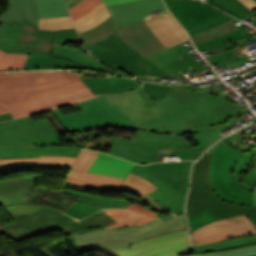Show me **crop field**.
Returning <instances> with one entry per match:
<instances>
[{
	"mask_svg": "<svg viewBox=\"0 0 256 256\" xmlns=\"http://www.w3.org/2000/svg\"><path fill=\"white\" fill-rule=\"evenodd\" d=\"M140 201H143V202L149 204L151 208H153L157 211L170 212L167 209H165L163 206H161L159 203H157L155 200H153L151 197H149L148 195L146 197H144L143 199H140ZM170 213H172V212H170ZM172 214H174V213H172Z\"/></svg>",
	"mask_w": 256,
	"mask_h": 256,
	"instance_id": "51",
	"label": "crop field"
},
{
	"mask_svg": "<svg viewBox=\"0 0 256 256\" xmlns=\"http://www.w3.org/2000/svg\"><path fill=\"white\" fill-rule=\"evenodd\" d=\"M134 165L115 156L99 153L87 172L125 178Z\"/></svg>",
	"mask_w": 256,
	"mask_h": 256,
	"instance_id": "26",
	"label": "crop field"
},
{
	"mask_svg": "<svg viewBox=\"0 0 256 256\" xmlns=\"http://www.w3.org/2000/svg\"><path fill=\"white\" fill-rule=\"evenodd\" d=\"M78 104L82 112L67 115H62L59 109L53 112L66 132H80L107 126L140 130L114 105L109 106L102 96Z\"/></svg>",
	"mask_w": 256,
	"mask_h": 256,
	"instance_id": "7",
	"label": "crop field"
},
{
	"mask_svg": "<svg viewBox=\"0 0 256 256\" xmlns=\"http://www.w3.org/2000/svg\"><path fill=\"white\" fill-rule=\"evenodd\" d=\"M252 25L256 26V21H254V22L252 23Z\"/></svg>",
	"mask_w": 256,
	"mask_h": 256,
	"instance_id": "63",
	"label": "crop field"
},
{
	"mask_svg": "<svg viewBox=\"0 0 256 256\" xmlns=\"http://www.w3.org/2000/svg\"><path fill=\"white\" fill-rule=\"evenodd\" d=\"M253 15L256 16V10L252 13V15H251L249 18H251ZM249 18H247L246 21H247Z\"/></svg>",
	"mask_w": 256,
	"mask_h": 256,
	"instance_id": "62",
	"label": "crop field"
},
{
	"mask_svg": "<svg viewBox=\"0 0 256 256\" xmlns=\"http://www.w3.org/2000/svg\"><path fill=\"white\" fill-rule=\"evenodd\" d=\"M191 165L192 161L136 165L131 173L142 176L158 186L159 188L149 195L168 210L179 213L184 210Z\"/></svg>",
	"mask_w": 256,
	"mask_h": 256,
	"instance_id": "5",
	"label": "crop field"
},
{
	"mask_svg": "<svg viewBox=\"0 0 256 256\" xmlns=\"http://www.w3.org/2000/svg\"><path fill=\"white\" fill-rule=\"evenodd\" d=\"M223 140L210 153L209 177L213 191L223 201L252 205L256 185V147L247 154L227 145Z\"/></svg>",
	"mask_w": 256,
	"mask_h": 256,
	"instance_id": "3",
	"label": "crop field"
},
{
	"mask_svg": "<svg viewBox=\"0 0 256 256\" xmlns=\"http://www.w3.org/2000/svg\"><path fill=\"white\" fill-rule=\"evenodd\" d=\"M97 155V152L82 150L66 182L99 190L101 192L123 190L139 198H143L147 195L134 186L122 183L124 180L122 178L86 173Z\"/></svg>",
	"mask_w": 256,
	"mask_h": 256,
	"instance_id": "14",
	"label": "crop field"
},
{
	"mask_svg": "<svg viewBox=\"0 0 256 256\" xmlns=\"http://www.w3.org/2000/svg\"><path fill=\"white\" fill-rule=\"evenodd\" d=\"M254 252H256V245L245 246V247H240V248L226 250V251L191 255V256H239V255H244V254H249Z\"/></svg>",
	"mask_w": 256,
	"mask_h": 256,
	"instance_id": "44",
	"label": "crop field"
},
{
	"mask_svg": "<svg viewBox=\"0 0 256 256\" xmlns=\"http://www.w3.org/2000/svg\"><path fill=\"white\" fill-rule=\"evenodd\" d=\"M11 118H13V117H12V115H11L10 112L0 115V121H2V120H7V119H11Z\"/></svg>",
	"mask_w": 256,
	"mask_h": 256,
	"instance_id": "57",
	"label": "crop field"
},
{
	"mask_svg": "<svg viewBox=\"0 0 256 256\" xmlns=\"http://www.w3.org/2000/svg\"><path fill=\"white\" fill-rule=\"evenodd\" d=\"M38 4L39 18L67 16L66 4L69 0H34Z\"/></svg>",
	"mask_w": 256,
	"mask_h": 256,
	"instance_id": "34",
	"label": "crop field"
},
{
	"mask_svg": "<svg viewBox=\"0 0 256 256\" xmlns=\"http://www.w3.org/2000/svg\"><path fill=\"white\" fill-rule=\"evenodd\" d=\"M110 13L108 12L104 2H102L99 6H97L94 10L89 12L82 18L74 20V24L78 30V32H82L87 30L108 18Z\"/></svg>",
	"mask_w": 256,
	"mask_h": 256,
	"instance_id": "33",
	"label": "crop field"
},
{
	"mask_svg": "<svg viewBox=\"0 0 256 256\" xmlns=\"http://www.w3.org/2000/svg\"><path fill=\"white\" fill-rule=\"evenodd\" d=\"M63 192L78 197L66 212V214L77 218L85 217L105 208H125L130 205V203L123 200L92 196L73 190L64 189Z\"/></svg>",
	"mask_w": 256,
	"mask_h": 256,
	"instance_id": "20",
	"label": "crop field"
},
{
	"mask_svg": "<svg viewBox=\"0 0 256 256\" xmlns=\"http://www.w3.org/2000/svg\"><path fill=\"white\" fill-rule=\"evenodd\" d=\"M246 51L245 46L241 48H232L217 54H214L212 56L206 57L208 62L213 65L217 63L219 66L232 63L234 61L249 57Z\"/></svg>",
	"mask_w": 256,
	"mask_h": 256,
	"instance_id": "36",
	"label": "crop field"
},
{
	"mask_svg": "<svg viewBox=\"0 0 256 256\" xmlns=\"http://www.w3.org/2000/svg\"><path fill=\"white\" fill-rule=\"evenodd\" d=\"M222 141V140H221ZM221 141H219L218 143H216L215 145H213L206 153L205 155H208V153L217 145L219 144Z\"/></svg>",
	"mask_w": 256,
	"mask_h": 256,
	"instance_id": "60",
	"label": "crop field"
},
{
	"mask_svg": "<svg viewBox=\"0 0 256 256\" xmlns=\"http://www.w3.org/2000/svg\"><path fill=\"white\" fill-rule=\"evenodd\" d=\"M27 203L26 188L20 177L0 181V205Z\"/></svg>",
	"mask_w": 256,
	"mask_h": 256,
	"instance_id": "29",
	"label": "crop field"
},
{
	"mask_svg": "<svg viewBox=\"0 0 256 256\" xmlns=\"http://www.w3.org/2000/svg\"><path fill=\"white\" fill-rule=\"evenodd\" d=\"M28 55L9 54L0 51V71L22 70Z\"/></svg>",
	"mask_w": 256,
	"mask_h": 256,
	"instance_id": "37",
	"label": "crop field"
},
{
	"mask_svg": "<svg viewBox=\"0 0 256 256\" xmlns=\"http://www.w3.org/2000/svg\"><path fill=\"white\" fill-rule=\"evenodd\" d=\"M101 2V0H84L83 2L77 4L75 7L69 10L72 19L74 20L85 15Z\"/></svg>",
	"mask_w": 256,
	"mask_h": 256,
	"instance_id": "43",
	"label": "crop field"
},
{
	"mask_svg": "<svg viewBox=\"0 0 256 256\" xmlns=\"http://www.w3.org/2000/svg\"><path fill=\"white\" fill-rule=\"evenodd\" d=\"M139 92H140V94H141V96H142V98H143V100H144V102H145L146 107H149V105H150V104H149V99H148V97L146 96V94H145L143 88L139 89Z\"/></svg>",
	"mask_w": 256,
	"mask_h": 256,
	"instance_id": "56",
	"label": "crop field"
},
{
	"mask_svg": "<svg viewBox=\"0 0 256 256\" xmlns=\"http://www.w3.org/2000/svg\"><path fill=\"white\" fill-rule=\"evenodd\" d=\"M255 176H256V170H255ZM252 191H254V203H253V205H256V186Z\"/></svg>",
	"mask_w": 256,
	"mask_h": 256,
	"instance_id": "59",
	"label": "crop field"
},
{
	"mask_svg": "<svg viewBox=\"0 0 256 256\" xmlns=\"http://www.w3.org/2000/svg\"><path fill=\"white\" fill-rule=\"evenodd\" d=\"M124 183H128V184H132L137 186L138 188H140L142 191L146 192V193H151L153 190H155L156 187L155 185H153L151 182H149L148 180L133 175V174H129L128 177L124 180Z\"/></svg>",
	"mask_w": 256,
	"mask_h": 256,
	"instance_id": "46",
	"label": "crop field"
},
{
	"mask_svg": "<svg viewBox=\"0 0 256 256\" xmlns=\"http://www.w3.org/2000/svg\"><path fill=\"white\" fill-rule=\"evenodd\" d=\"M152 63L157 65L159 68L167 72L169 75L173 76L180 82L183 81L177 76L181 75L179 72L190 67L186 62H184L172 49V47L165 49L149 58Z\"/></svg>",
	"mask_w": 256,
	"mask_h": 256,
	"instance_id": "28",
	"label": "crop field"
},
{
	"mask_svg": "<svg viewBox=\"0 0 256 256\" xmlns=\"http://www.w3.org/2000/svg\"><path fill=\"white\" fill-rule=\"evenodd\" d=\"M236 20L237 19L234 18L233 20H231L227 23H224L214 29L206 30V31L191 35L190 37H191L192 41L194 42V44L207 41L211 38L217 37L219 35L228 33L230 31L236 29L235 27L230 25L231 23L235 22Z\"/></svg>",
	"mask_w": 256,
	"mask_h": 256,
	"instance_id": "38",
	"label": "crop field"
},
{
	"mask_svg": "<svg viewBox=\"0 0 256 256\" xmlns=\"http://www.w3.org/2000/svg\"><path fill=\"white\" fill-rule=\"evenodd\" d=\"M95 94L124 93L139 87L131 79L123 78H81Z\"/></svg>",
	"mask_w": 256,
	"mask_h": 256,
	"instance_id": "27",
	"label": "crop field"
},
{
	"mask_svg": "<svg viewBox=\"0 0 256 256\" xmlns=\"http://www.w3.org/2000/svg\"><path fill=\"white\" fill-rule=\"evenodd\" d=\"M152 102L161 107L168 115H170L174 120H176L192 134L208 128L206 124L191 114L169 95L164 99V101Z\"/></svg>",
	"mask_w": 256,
	"mask_h": 256,
	"instance_id": "25",
	"label": "crop field"
},
{
	"mask_svg": "<svg viewBox=\"0 0 256 256\" xmlns=\"http://www.w3.org/2000/svg\"><path fill=\"white\" fill-rule=\"evenodd\" d=\"M249 58H246V59H243V60H240V61H237L235 63H232V64H229V65H225L227 69L233 67V66H236V65H239V64H243V63H246V62H249Z\"/></svg>",
	"mask_w": 256,
	"mask_h": 256,
	"instance_id": "55",
	"label": "crop field"
},
{
	"mask_svg": "<svg viewBox=\"0 0 256 256\" xmlns=\"http://www.w3.org/2000/svg\"><path fill=\"white\" fill-rule=\"evenodd\" d=\"M0 142L60 146L59 133L48 118L30 117L0 123Z\"/></svg>",
	"mask_w": 256,
	"mask_h": 256,
	"instance_id": "11",
	"label": "crop field"
},
{
	"mask_svg": "<svg viewBox=\"0 0 256 256\" xmlns=\"http://www.w3.org/2000/svg\"><path fill=\"white\" fill-rule=\"evenodd\" d=\"M103 97L142 130L136 131L131 141L111 136L110 154L134 163L150 164L161 161L163 155H173L172 148L192 147L182 136L189 132L155 104L150 102V108H145L138 90Z\"/></svg>",
	"mask_w": 256,
	"mask_h": 256,
	"instance_id": "1",
	"label": "crop field"
},
{
	"mask_svg": "<svg viewBox=\"0 0 256 256\" xmlns=\"http://www.w3.org/2000/svg\"><path fill=\"white\" fill-rule=\"evenodd\" d=\"M214 1L230 8L231 10L235 11L236 13L240 14L245 18L249 15L245 11H243L240 7H238L236 4H234L229 0H214Z\"/></svg>",
	"mask_w": 256,
	"mask_h": 256,
	"instance_id": "49",
	"label": "crop field"
},
{
	"mask_svg": "<svg viewBox=\"0 0 256 256\" xmlns=\"http://www.w3.org/2000/svg\"><path fill=\"white\" fill-rule=\"evenodd\" d=\"M24 17H27L36 27L38 23L37 5L33 0H23Z\"/></svg>",
	"mask_w": 256,
	"mask_h": 256,
	"instance_id": "47",
	"label": "crop field"
},
{
	"mask_svg": "<svg viewBox=\"0 0 256 256\" xmlns=\"http://www.w3.org/2000/svg\"><path fill=\"white\" fill-rule=\"evenodd\" d=\"M16 221L0 228V232L17 240H23L64 225L77 219L65 216L49 208H41L32 214L11 215Z\"/></svg>",
	"mask_w": 256,
	"mask_h": 256,
	"instance_id": "13",
	"label": "crop field"
},
{
	"mask_svg": "<svg viewBox=\"0 0 256 256\" xmlns=\"http://www.w3.org/2000/svg\"><path fill=\"white\" fill-rule=\"evenodd\" d=\"M251 256H256V255H251Z\"/></svg>",
	"mask_w": 256,
	"mask_h": 256,
	"instance_id": "64",
	"label": "crop field"
},
{
	"mask_svg": "<svg viewBox=\"0 0 256 256\" xmlns=\"http://www.w3.org/2000/svg\"><path fill=\"white\" fill-rule=\"evenodd\" d=\"M256 1V0H255Z\"/></svg>",
	"mask_w": 256,
	"mask_h": 256,
	"instance_id": "66",
	"label": "crop field"
},
{
	"mask_svg": "<svg viewBox=\"0 0 256 256\" xmlns=\"http://www.w3.org/2000/svg\"><path fill=\"white\" fill-rule=\"evenodd\" d=\"M89 53L112 69H121L129 75H157L171 77L150 61L141 57L116 35L95 44H84Z\"/></svg>",
	"mask_w": 256,
	"mask_h": 256,
	"instance_id": "8",
	"label": "crop field"
},
{
	"mask_svg": "<svg viewBox=\"0 0 256 256\" xmlns=\"http://www.w3.org/2000/svg\"><path fill=\"white\" fill-rule=\"evenodd\" d=\"M74 39H78L75 29L70 31H56L51 56L61 57L70 60L77 64L88 67L91 70L110 73L109 69H107L105 66H103L96 60H94L86 53L79 50L64 47L65 42L79 43V40L74 41Z\"/></svg>",
	"mask_w": 256,
	"mask_h": 256,
	"instance_id": "19",
	"label": "crop field"
},
{
	"mask_svg": "<svg viewBox=\"0 0 256 256\" xmlns=\"http://www.w3.org/2000/svg\"><path fill=\"white\" fill-rule=\"evenodd\" d=\"M189 42V41H188ZM185 43V42H184ZM192 48V45L184 48V46L182 45V43H179L175 46H173V49L175 50V52L184 60L186 61L188 64H190L195 70L202 71V70H206L202 65H200L197 61H195L193 59V57L186 51L188 49Z\"/></svg>",
	"mask_w": 256,
	"mask_h": 256,
	"instance_id": "45",
	"label": "crop field"
},
{
	"mask_svg": "<svg viewBox=\"0 0 256 256\" xmlns=\"http://www.w3.org/2000/svg\"><path fill=\"white\" fill-rule=\"evenodd\" d=\"M114 223H116V221H114L106 213L101 211L97 214H94V215L88 217V218L79 220L72 225H68L63 228H60L59 230H61L64 235H68V234L76 233L79 231L87 230L91 227L105 228Z\"/></svg>",
	"mask_w": 256,
	"mask_h": 256,
	"instance_id": "30",
	"label": "crop field"
},
{
	"mask_svg": "<svg viewBox=\"0 0 256 256\" xmlns=\"http://www.w3.org/2000/svg\"><path fill=\"white\" fill-rule=\"evenodd\" d=\"M75 28L70 17L39 19L38 29L69 30Z\"/></svg>",
	"mask_w": 256,
	"mask_h": 256,
	"instance_id": "39",
	"label": "crop field"
},
{
	"mask_svg": "<svg viewBox=\"0 0 256 256\" xmlns=\"http://www.w3.org/2000/svg\"><path fill=\"white\" fill-rule=\"evenodd\" d=\"M75 158L48 156L40 158L0 159V172L20 168H71Z\"/></svg>",
	"mask_w": 256,
	"mask_h": 256,
	"instance_id": "24",
	"label": "crop field"
},
{
	"mask_svg": "<svg viewBox=\"0 0 256 256\" xmlns=\"http://www.w3.org/2000/svg\"><path fill=\"white\" fill-rule=\"evenodd\" d=\"M54 33L55 31L37 30L28 19H24L19 41L17 40L18 44L14 52L30 55L24 69H87L64 59L49 57Z\"/></svg>",
	"mask_w": 256,
	"mask_h": 256,
	"instance_id": "10",
	"label": "crop field"
},
{
	"mask_svg": "<svg viewBox=\"0 0 256 256\" xmlns=\"http://www.w3.org/2000/svg\"><path fill=\"white\" fill-rule=\"evenodd\" d=\"M248 111H250L249 108L244 109L243 111L239 112L235 116L226 120V122H223L221 124H218V125H215V126L209 128L207 130H204V131L194 134V137L200 147L174 149V151L176 152V154L178 155L180 160H185V159L196 160L207 147H209L215 141H217L223 137L218 131L236 123L237 120L235 117L242 115Z\"/></svg>",
	"mask_w": 256,
	"mask_h": 256,
	"instance_id": "22",
	"label": "crop field"
},
{
	"mask_svg": "<svg viewBox=\"0 0 256 256\" xmlns=\"http://www.w3.org/2000/svg\"><path fill=\"white\" fill-rule=\"evenodd\" d=\"M232 18H233V17H231V16L228 15V16H226L225 18H223V19H221V20H219V21H217V22H214V23H212V24H210V25H208V26H205V27H201V28H198V29H195V30L188 31V34L191 35V34H194V33H197V32L203 31V30H206V29L213 28V27H215V26H217V25H219V24H221V23H224V22H226V21L231 20Z\"/></svg>",
	"mask_w": 256,
	"mask_h": 256,
	"instance_id": "52",
	"label": "crop field"
},
{
	"mask_svg": "<svg viewBox=\"0 0 256 256\" xmlns=\"http://www.w3.org/2000/svg\"><path fill=\"white\" fill-rule=\"evenodd\" d=\"M209 156H203L194 165L191 187L187 199V217L194 215L210 206L216 220L245 213L256 225V206H240L223 202L212 191L208 178Z\"/></svg>",
	"mask_w": 256,
	"mask_h": 256,
	"instance_id": "6",
	"label": "crop field"
},
{
	"mask_svg": "<svg viewBox=\"0 0 256 256\" xmlns=\"http://www.w3.org/2000/svg\"><path fill=\"white\" fill-rule=\"evenodd\" d=\"M145 22L166 48L189 40L188 34L171 14Z\"/></svg>",
	"mask_w": 256,
	"mask_h": 256,
	"instance_id": "23",
	"label": "crop field"
},
{
	"mask_svg": "<svg viewBox=\"0 0 256 256\" xmlns=\"http://www.w3.org/2000/svg\"><path fill=\"white\" fill-rule=\"evenodd\" d=\"M81 148L77 147H43L28 144L0 143V158L39 157L62 155L76 157Z\"/></svg>",
	"mask_w": 256,
	"mask_h": 256,
	"instance_id": "21",
	"label": "crop field"
},
{
	"mask_svg": "<svg viewBox=\"0 0 256 256\" xmlns=\"http://www.w3.org/2000/svg\"><path fill=\"white\" fill-rule=\"evenodd\" d=\"M107 8L116 25L148 20L169 14L162 0H136L108 5Z\"/></svg>",
	"mask_w": 256,
	"mask_h": 256,
	"instance_id": "17",
	"label": "crop field"
},
{
	"mask_svg": "<svg viewBox=\"0 0 256 256\" xmlns=\"http://www.w3.org/2000/svg\"><path fill=\"white\" fill-rule=\"evenodd\" d=\"M24 19V18H23ZM23 19L10 23H0V49L13 53L20 34Z\"/></svg>",
	"mask_w": 256,
	"mask_h": 256,
	"instance_id": "31",
	"label": "crop field"
},
{
	"mask_svg": "<svg viewBox=\"0 0 256 256\" xmlns=\"http://www.w3.org/2000/svg\"><path fill=\"white\" fill-rule=\"evenodd\" d=\"M39 208L41 207L35 206V205H23V204L5 206V209L9 214L31 213Z\"/></svg>",
	"mask_w": 256,
	"mask_h": 256,
	"instance_id": "48",
	"label": "crop field"
},
{
	"mask_svg": "<svg viewBox=\"0 0 256 256\" xmlns=\"http://www.w3.org/2000/svg\"><path fill=\"white\" fill-rule=\"evenodd\" d=\"M94 230H97V229L87 230V231H84V232H80L78 234L80 235V234H83V233H86V232H90V231H94Z\"/></svg>",
	"mask_w": 256,
	"mask_h": 256,
	"instance_id": "61",
	"label": "crop field"
},
{
	"mask_svg": "<svg viewBox=\"0 0 256 256\" xmlns=\"http://www.w3.org/2000/svg\"><path fill=\"white\" fill-rule=\"evenodd\" d=\"M13 256H15V255H13Z\"/></svg>",
	"mask_w": 256,
	"mask_h": 256,
	"instance_id": "65",
	"label": "crop field"
},
{
	"mask_svg": "<svg viewBox=\"0 0 256 256\" xmlns=\"http://www.w3.org/2000/svg\"><path fill=\"white\" fill-rule=\"evenodd\" d=\"M79 77L57 71L0 74V114L11 111L16 118L96 96Z\"/></svg>",
	"mask_w": 256,
	"mask_h": 256,
	"instance_id": "2",
	"label": "crop field"
},
{
	"mask_svg": "<svg viewBox=\"0 0 256 256\" xmlns=\"http://www.w3.org/2000/svg\"><path fill=\"white\" fill-rule=\"evenodd\" d=\"M69 241L71 242L72 246L74 247L75 251L77 252V254L81 253V249L79 248L78 244L76 243V241L74 240V238L72 237V235L67 236Z\"/></svg>",
	"mask_w": 256,
	"mask_h": 256,
	"instance_id": "54",
	"label": "crop field"
},
{
	"mask_svg": "<svg viewBox=\"0 0 256 256\" xmlns=\"http://www.w3.org/2000/svg\"><path fill=\"white\" fill-rule=\"evenodd\" d=\"M240 32H243L241 30V28H239V29H237V30H235L231 33H228V34L219 36L217 38L211 39L207 42L196 44V47L198 48L199 51H201V50H204V49L216 46V45H220V44H223V43H226V42H229V41L234 42L236 40H239V39L245 37Z\"/></svg>",
	"mask_w": 256,
	"mask_h": 256,
	"instance_id": "40",
	"label": "crop field"
},
{
	"mask_svg": "<svg viewBox=\"0 0 256 256\" xmlns=\"http://www.w3.org/2000/svg\"><path fill=\"white\" fill-rule=\"evenodd\" d=\"M183 228H187L184 212L176 216H161L141 226L101 229L80 236L76 233L73 237L83 252L96 249L105 254L128 249L131 243Z\"/></svg>",
	"mask_w": 256,
	"mask_h": 256,
	"instance_id": "4",
	"label": "crop field"
},
{
	"mask_svg": "<svg viewBox=\"0 0 256 256\" xmlns=\"http://www.w3.org/2000/svg\"><path fill=\"white\" fill-rule=\"evenodd\" d=\"M212 1H213V0H206V2L211 3V4H213V5H215V6L219 7V8H221L222 10H224V11H226V12L232 14V15H234V16L240 18V19H244L243 17H241L240 15L236 14L235 12H233V11H231V10H229V9H227V8H225V7H223V6L219 5V4H217V3H215V2H212ZM232 1H233L234 3H236L238 6H240L242 9H244L246 12H248L249 14L252 13L250 10H248L245 6H243V5H242L240 2H238L237 0H232ZM221 9H220V10H221Z\"/></svg>",
	"mask_w": 256,
	"mask_h": 256,
	"instance_id": "50",
	"label": "crop field"
},
{
	"mask_svg": "<svg viewBox=\"0 0 256 256\" xmlns=\"http://www.w3.org/2000/svg\"><path fill=\"white\" fill-rule=\"evenodd\" d=\"M169 10L185 27L191 30L208 25L227 14L197 0H164Z\"/></svg>",
	"mask_w": 256,
	"mask_h": 256,
	"instance_id": "16",
	"label": "crop field"
},
{
	"mask_svg": "<svg viewBox=\"0 0 256 256\" xmlns=\"http://www.w3.org/2000/svg\"><path fill=\"white\" fill-rule=\"evenodd\" d=\"M169 95L209 127L243 110L233 103L208 93L172 90Z\"/></svg>",
	"mask_w": 256,
	"mask_h": 256,
	"instance_id": "12",
	"label": "crop field"
},
{
	"mask_svg": "<svg viewBox=\"0 0 256 256\" xmlns=\"http://www.w3.org/2000/svg\"><path fill=\"white\" fill-rule=\"evenodd\" d=\"M116 34L144 58L165 47L144 21L116 26L111 17L101 24L79 34L82 43H94Z\"/></svg>",
	"mask_w": 256,
	"mask_h": 256,
	"instance_id": "9",
	"label": "crop field"
},
{
	"mask_svg": "<svg viewBox=\"0 0 256 256\" xmlns=\"http://www.w3.org/2000/svg\"><path fill=\"white\" fill-rule=\"evenodd\" d=\"M143 88L150 100H162L171 92L172 89H184L194 91V84L168 86L145 82ZM153 89L155 90L154 92L152 91Z\"/></svg>",
	"mask_w": 256,
	"mask_h": 256,
	"instance_id": "35",
	"label": "crop field"
},
{
	"mask_svg": "<svg viewBox=\"0 0 256 256\" xmlns=\"http://www.w3.org/2000/svg\"><path fill=\"white\" fill-rule=\"evenodd\" d=\"M256 234V228L245 214L215 221L191 233L193 245L218 242Z\"/></svg>",
	"mask_w": 256,
	"mask_h": 256,
	"instance_id": "15",
	"label": "crop field"
},
{
	"mask_svg": "<svg viewBox=\"0 0 256 256\" xmlns=\"http://www.w3.org/2000/svg\"><path fill=\"white\" fill-rule=\"evenodd\" d=\"M243 5H245L248 9L253 11L256 8V2L254 0H238Z\"/></svg>",
	"mask_w": 256,
	"mask_h": 256,
	"instance_id": "53",
	"label": "crop field"
},
{
	"mask_svg": "<svg viewBox=\"0 0 256 256\" xmlns=\"http://www.w3.org/2000/svg\"><path fill=\"white\" fill-rule=\"evenodd\" d=\"M21 179L27 188L28 203L45 205L65 213L76 199L60 190L38 186V176H24Z\"/></svg>",
	"mask_w": 256,
	"mask_h": 256,
	"instance_id": "18",
	"label": "crop field"
},
{
	"mask_svg": "<svg viewBox=\"0 0 256 256\" xmlns=\"http://www.w3.org/2000/svg\"><path fill=\"white\" fill-rule=\"evenodd\" d=\"M251 244H256V235L233 240H226L218 243L194 246L192 247V251H194V254H197L203 252L226 250Z\"/></svg>",
	"mask_w": 256,
	"mask_h": 256,
	"instance_id": "32",
	"label": "crop field"
},
{
	"mask_svg": "<svg viewBox=\"0 0 256 256\" xmlns=\"http://www.w3.org/2000/svg\"><path fill=\"white\" fill-rule=\"evenodd\" d=\"M83 0H71L69 3H68V9L72 8L73 6H75L77 3L81 2Z\"/></svg>",
	"mask_w": 256,
	"mask_h": 256,
	"instance_id": "58",
	"label": "crop field"
},
{
	"mask_svg": "<svg viewBox=\"0 0 256 256\" xmlns=\"http://www.w3.org/2000/svg\"><path fill=\"white\" fill-rule=\"evenodd\" d=\"M213 221H215V218L208 207L199 214L188 218L190 232Z\"/></svg>",
	"mask_w": 256,
	"mask_h": 256,
	"instance_id": "42",
	"label": "crop field"
},
{
	"mask_svg": "<svg viewBox=\"0 0 256 256\" xmlns=\"http://www.w3.org/2000/svg\"><path fill=\"white\" fill-rule=\"evenodd\" d=\"M10 6L2 15L0 22H9L23 18L22 0H9Z\"/></svg>",
	"mask_w": 256,
	"mask_h": 256,
	"instance_id": "41",
	"label": "crop field"
}]
</instances>
